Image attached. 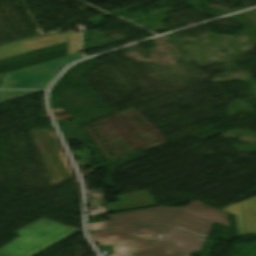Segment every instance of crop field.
I'll use <instances>...</instances> for the list:
<instances>
[{"instance_id": "obj_5", "label": "crop field", "mask_w": 256, "mask_h": 256, "mask_svg": "<svg viewBox=\"0 0 256 256\" xmlns=\"http://www.w3.org/2000/svg\"><path fill=\"white\" fill-rule=\"evenodd\" d=\"M53 184L72 179L66 161L51 130H30Z\"/></svg>"}, {"instance_id": "obj_8", "label": "crop field", "mask_w": 256, "mask_h": 256, "mask_svg": "<svg viewBox=\"0 0 256 256\" xmlns=\"http://www.w3.org/2000/svg\"><path fill=\"white\" fill-rule=\"evenodd\" d=\"M42 90H0V103Z\"/></svg>"}, {"instance_id": "obj_1", "label": "crop field", "mask_w": 256, "mask_h": 256, "mask_svg": "<svg viewBox=\"0 0 256 256\" xmlns=\"http://www.w3.org/2000/svg\"><path fill=\"white\" fill-rule=\"evenodd\" d=\"M99 247L112 246L110 256H189L200 252L204 239L164 226L89 233ZM157 235H162L160 238Z\"/></svg>"}, {"instance_id": "obj_7", "label": "crop field", "mask_w": 256, "mask_h": 256, "mask_svg": "<svg viewBox=\"0 0 256 256\" xmlns=\"http://www.w3.org/2000/svg\"><path fill=\"white\" fill-rule=\"evenodd\" d=\"M118 202L107 203L111 212L156 205L147 191L116 196Z\"/></svg>"}, {"instance_id": "obj_3", "label": "crop field", "mask_w": 256, "mask_h": 256, "mask_svg": "<svg viewBox=\"0 0 256 256\" xmlns=\"http://www.w3.org/2000/svg\"><path fill=\"white\" fill-rule=\"evenodd\" d=\"M78 231L42 219L17 231L21 236L2 247L0 253L7 256H33Z\"/></svg>"}, {"instance_id": "obj_4", "label": "crop field", "mask_w": 256, "mask_h": 256, "mask_svg": "<svg viewBox=\"0 0 256 256\" xmlns=\"http://www.w3.org/2000/svg\"><path fill=\"white\" fill-rule=\"evenodd\" d=\"M83 58L79 53L26 69L10 72L0 88H45L50 80L68 63Z\"/></svg>"}, {"instance_id": "obj_9", "label": "crop field", "mask_w": 256, "mask_h": 256, "mask_svg": "<svg viewBox=\"0 0 256 256\" xmlns=\"http://www.w3.org/2000/svg\"><path fill=\"white\" fill-rule=\"evenodd\" d=\"M0 256H3V255H0Z\"/></svg>"}, {"instance_id": "obj_2", "label": "crop field", "mask_w": 256, "mask_h": 256, "mask_svg": "<svg viewBox=\"0 0 256 256\" xmlns=\"http://www.w3.org/2000/svg\"><path fill=\"white\" fill-rule=\"evenodd\" d=\"M156 208H164V207H156ZM156 208H150V209H144V210H150V211H166V212H176L188 217H192L197 219L196 221L188 219V218H184L181 217L175 213H158V212H142V210H138V211H132V212H126V213H138V214H161V215H174L177 216L179 218L184 219V221L179 220L177 218L174 217H161V216H138V215H126V213H120V214H114L111 217V221H107V222H100V223H93V224H88L87 225V230L88 231H92V230H102V229H112V228H122V227H132V226H139V225H127V224H114V222H121V223H133V224H140V225H149V224H160V225H167V226H171V227H175L187 232H191L203 237H206L213 222L215 223H219V224H223L226 226H229V222L227 220V215L228 213L216 209L214 207L205 205L203 203H200L198 201H194L191 202L188 206H186L184 209H179L181 211H185V212H189L191 214L197 215L199 217L205 218L207 220H210L212 222L197 218V217H193L187 214H184L180 211H172V210H162V209H156ZM167 209H175V208H167ZM115 216H129V217H156V218H170V220H161V219H143V218H125V217H115ZM162 221L165 222H169L184 228H188V229H184L169 223H162Z\"/></svg>"}, {"instance_id": "obj_6", "label": "crop field", "mask_w": 256, "mask_h": 256, "mask_svg": "<svg viewBox=\"0 0 256 256\" xmlns=\"http://www.w3.org/2000/svg\"><path fill=\"white\" fill-rule=\"evenodd\" d=\"M65 41L68 42L67 56L79 52L80 33L41 35L20 39L0 46V59Z\"/></svg>"}]
</instances>
